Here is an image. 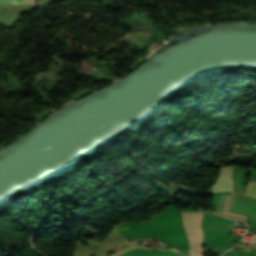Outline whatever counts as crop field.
<instances>
[{
	"label": "crop field",
	"mask_w": 256,
	"mask_h": 256,
	"mask_svg": "<svg viewBox=\"0 0 256 256\" xmlns=\"http://www.w3.org/2000/svg\"><path fill=\"white\" fill-rule=\"evenodd\" d=\"M203 213L194 212L193 226L196 235V256H202L201 245L203 241V232L201 230ZM183 224L187 232L190 243V256H195V236L192 226L193 212H182Z\"/></svg>",
	"instance_id": "crop-field-1"
},
{
	"label": "crop field",
	"mask_w": 256,
	"mask_h": 256,
	"mask_svg": "<svg viewBox=\"0 0 256 256\" xmlns=\"http://www.w3.org/2000/svg\"><path fill=\"white\" fill-rule=\"evenodd\" d=\"M231 174L232 167L221 168L219 177L213 185V192L233 191Z\"/></svg>",
	"instance_id": "crop-field-2"
},
{
	"label": "crop field",
	"mask_w": 256,
	"mask_h": 256,
	"mask_svg": "<svg viewBox=\"0 0 256 256\" xmlns=\"http://www.w3.org/2000/svg\"><path fill=\"white\" fill-rule=\"evenodd\" d=\"M247 184H248V190L246 194L256 198V181L247 182Z\"/></svg>",
	"instance_id": "crop-field-3"
},
{
	"label": "crop field",
	"mask_w": 256,
	"mask_h": 256,
	"mask_svg": "<svg viewBox=\"0 0 256 256\" xmlns=\"http://www.w3.org/2000/svg\"><path fill=\"white\" fill-rule=\"evenodd\" d=\"M5 3H28L35 4V0H2Z\"/></svg>",
	"instance_id": "crop-field-4"
},
{
	"label": "crop field",
	"mask_w": 256,
	"mask_h": 256,
	"mask_svg": "<svg viewBox=\"0 0 256 256\" xmlns=\"http://www.w3.org/2000/svg\"><path fill=\"white\" fill-rule=\"evenodd\" d=\"M227 196L228 195H222L221 196V199H220V202H219L218 212H222V213L224 212V206H225V203H226Z\"/></svg>",
	"instance_id": "crop-field-5"
},
{
	"label": "crop field",
	"mask_w": 256,
	"mask_h": 256,
	"mask_svg": "<svg viewBox=\"0 0 256 256\" xmlns=\"http://www.w3.org/2000/svg\"><path fill=\"white\" fill-rule=\"evenodd\" d=\"M226 217L232 218V219H237V220H241V221H245L246 218L244 217H240V216H236V215H232V214H228L226 213Z\"/></svg>",
	"instance_id": "crop-field-6"
},
{
	"label": "crop field",
	"mask_w": 256,
	"mask_h": 256,
	"mask_svg": "<svg viewBox=\"0 0 256 256\" xmlns=\"http://www.w3.org/2000/svg\"><path fill=\"white\" fill-rule=\"evenodd\" d=\"M0 22H1L2 24H4V25L8 26V27H12V26H10V25H8V24L2 22V21H0Z\"/></svg>",
	"instance_id": "crop-field-7"
}]
</instances>
